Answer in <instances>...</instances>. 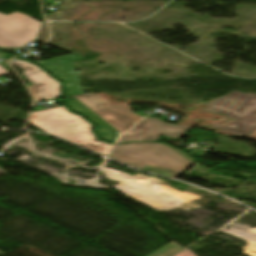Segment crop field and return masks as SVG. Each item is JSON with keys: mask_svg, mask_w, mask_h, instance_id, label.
<instances>
[{"mask_svg": "<svg viewBox=\"0 0 256 256\" xmlns=\"http://www.w3.org/2000/svg\"><path fill=\"white\" fill-rule=\"evenodd\" d=\"M256 107V93L243 94L236 91L211 101L206 108L233 116H241Z\"/></svg>", "mask_w": 256, "mask_h": 256, "instance_id": "8", "label": "crop field"}, {"mask_svg": "<svg viewBox=\"0 0 256 256\" xmlns=\"http://www.w3.org/2000/svg\"><path fill=\"white\" fill-rule=\"evenodd\" d=\"M205 110H207V109H205ZM207 111H211V110H207ZM212 112H215V111H212ZM216 113H218V112H216ZM220 114H222V113H220ZM223 115H226V114H223ZM226 116L237 119V117H233V116H229V115H226Z\"/></svg>", "mask_w": 256, "mask_h": 256, "instance_id": "15", "label": "crop field"}, {"mask_svg": "<svg viewBox=\"0 0 256 256\" xmlns=\"http://www.w3.org/2000/svg\"><path fill=\"white\" fill-rule=\"evenodd\" d=\"M30 123L39 130L58 136L107 156L112 144L97 140L92 125L70 113L65 106L32 113Z\"/></svg>", "mask_w": 256, "mask_h": 256, "instance_id": "1", "label": "crop field"}, {"mask_svg": "<svg viewBox=\"0 0 256 256\" xmlns=\"http://www.w3.org/2000/svg\"><path fill=\"white\" fill-rule=\"evenodd\" d=\"M78 59H82V57L74 53L36 62V64L40 65L56 79L62 80L64 83V91H67L65 96L78 95L84 94L76 67L72 63V61Z\"/></svg>", "mask_w": 256, "mask_h": 256, "instance_id": "6", "label": "crop field"}, {"mask_svg": "<svg viewBox=\"0 0 256 256\" xmlns=\"http://www.w3.org/2000/svg\"><path fill=\"white\" fill-rule=\"evenodd\" d=\"M12 64L24 69L23 75L30 83L34 84L28 87L33 95L34 102L62 96L60 82L53 79L39 67L17 59L13 60ZM19 64L21 65L19 66Z\"/></svg>", "mask_w": 256, "mask_h": 256, "instance_id": "7", "label": "crop field"}, {"mask_svg": "<svg viewBox=\"0 0 256 256\" xmlns=\"http://www.w3.org/2000/svg\"><path fill=\"white\" fill-rule=\"evenodd\" d=\"M4 172H6V171H5V170L0 169V175H1L2 173H4Z\"/></svg>", "mask_w": 256, "mask_h": 256, "instance_id": "16", "label": "crop field"}, {"mask_svg": "<svg viewBox=\"0 0 256 256\" xmlns=\"http://www.w3.org/2000/svg\"><path fill=\"white\" fill-rule=\"evenodd\" d=\"M181 248L183 247L172 241L167 245L161 247L157 251L153 252L149 256H170L171 254L179 251Z\"/></svg>", "mask_w": 256, "mask_h": 256, "instance_id": "11", "label": "crop field"}, {"mask_svg": "<svg viewBox=\"0 0 256 256\" xmlns=\"http://www.w3.org/2000/svg\"><path fill=\"white\" fill-rule=\"evenodd\" d=\"M210 128L227 131L245 137L256 130V108L242 115L237 119V121H230L223 125L213 126Z\"/></svg>", "mask_w": 256, "mask_h": 256, "instance_id": "10", "label": "crop field"}, {"mask_svg": "<svg viewBox=\"0 0 256 256\" xmlns=\"http://www.w3.org/2000/svg\"><path fill=\"white\" fill-rule=\"evenodd\" d=\"M108 158L142 170L145 164L174 170L177 177L193 162L182 153L157 143L114 146Z\"/></svg>", "mask_w": 256, "mask_h": 256, "instance_id": "2", "label": "crop field"}, {"mask_svg": "<svg viewBox=\"0 0 256 256\" xmlns=\"http://www.w3.org/2000/svg\"><path fill=\"white\" fill-rule=\"evenodd\" d=\"M41 22L19 12L0 14V47H22L35 40Z\"/></svg>", "mask_w": 256, "mask_h": 256, "instance_id": "4", "label": "crop field"}, {"mask_svg": "<svg viewBox=\"0 0 256 256\" xmlns=\"http://www.w3.org/2000/svg\"><path fill=\"white\" fill-rule=\"evenodd\" d=\"M176 256H195V255L190 250L186 249L180 252L179 254H177Z\"/></svg>", "mask_w": 256, "mask_h": 256, "instance_id": "12", "label": "crop field"}, {"mask_svg": "<svg viewBox=\"0 0 256 256\" xmlns=\"http://www.w3.org/2000/svg\"><path fill=\"white\" fill-rule=\"evenodd\" d=\"M67 106L70 110L77 112L83 116H85L92 123H96L94 131L99 136L100 139L114 142L117 137L120 135L117 131H115L111 126H109L106 122L84 107L75 99L66 101Z\"/></svg>", "mask_w": 256, "mask_h": 256, "instance_id": "9", "label": "crop field"}, {"mask_svg": "<svg viewBox=\"0 0 256 256\" xmlns=\"http://www.w3.org/2000/svg\"><path fill=\"white\" fill-rule=\"evenodd\" d=\"M190 127L164 123L158 119L145 118L131 131L120 137L117 143L137 141H157L160 135L179 139L186 135Z\"/></svg>", "mask_w": 256, "mask_h": 256, "instance_id": "5", "label": "crop field"}, {"mask_svg": "<svg viewBox=\"0 0 256 256\" xmlns=\"http://www.w3.org/2000/svg\"><path fill=\"white\" fill-rule=\"evenodd\" d=\"M96 94L79 95L73 97L106 121L118 132L122 133L128 130L136 122L143 118V116L133 114L130 111L131 107L123 104L112 106L107 100Z\"/></svg>", "mask_w": 256, "mask_h": 256, "instance_id": "3", "label": "crop field"}, {"mask_svg": "<svg viewBox=\"0 0 256 256\" xmlns=\"http://www.w3.org/2000/svg\"><path fill=\"white\" fill-rule=\"evenodd\" d=\"M5 74H10V73L7 72L5 69H3V68L0 66V75H5Z\"/></svg>", "mask_w": 256, "mask_h": 256, "instance_id": "14", "label": "crop field"}, {"mask_svg": "<svg viewBox=\"0 0 256 256\" xmlns=\"http://www.w3.org/2000/svg\"><path fill=\"white\" fill-rule=\"evenodd\" d=\"M256 201V200H255Z\"/></svg>", "mask_w": 256, "mask_h": 256, "instance_id": "17", "label": "crop field"}, {"mask_svg": "<svg viewBox=\"0 0 256 256\" xmlns=\"http://www.w3.org/2000/svg\"><path fill=\"white\" fill-rule=\"evenodd\" d=\"M246 138L256 140V132H254V133L248 135Z\"/></svg>", "mask_w": 256, "mask_h": 256, "instance_id": "13", "label": "crop field"}]
</instances>
